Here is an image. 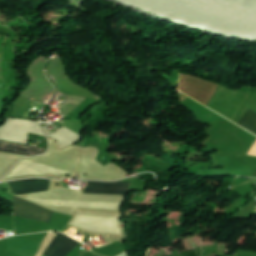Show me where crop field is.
Here are the masks:
<instances>
[{
  "mask_svg": "<svg viewBox=\"0 0 256 256\" xmlns=\"http://www.w3.org/2000/svg\"><path fill=\"white\" fill-rule=\"evenodd\" d=\"M13 210L14 215L16 216L47 223L50 222V218L53 213L50 210L42 208L26 200L18 199L16 197H14L13 201Z\"/></svg>",
  "mask_w": 256,
  "mask_h": 256,
  "instance_id": "obj_1",
  "label": "crop field"
},
{
  "mask_svg": "<svg viewBox=\"0 0 256 256\" xmlns=\"http://www.w3.org/2000/svg\"><path fill=\"white\" fill-rule=\"evenodd\" d=\"M14 195L48 191L49 180L25 179L8 182Z\"/></svg>",
  "mask_w": 256,
  "mask_h": 256,
  "instance_id": "obj_2",
  "label": "crop field"
},
{
  "mask_svg": "<svg viewBox=\"0 0 256 256\" xmlns=\"http://www.w3.org/2000/svg\"><path fill=\"white\" fill-rule=\"evenodd\" d=\"M238 125L256 134V113L248 109Z\"/></svg>",
  "mask_w": 256,
  "mask_h": 256,
  "instance_id": "obj_6",
  "label": "crop field"
},
{
  "mask_svg": "<svg viewBox=\"0 0 256 256\" xmlns=\"http://www.w3.org/2000/svg\"><path fill=\"white\" fill-rule=\"evenodd\" d=\"M129 183H108L89 181L84 192L125 195Z\"/></svg>",
  "mask_w": 256,
  "mask_h": 256,
  "instance_id": "obj_3",
  "label": "crop field"
},
{
  "mask_svg": "<svg viewBox=\"0 0 256 256\" xmlns=\"http://www.w3.org/2000/svg\"><path fill=\"white\" fill-rule=\"evenodd\" d=\"M79 243L69 237L58 233L47 250L44 252L46 256H65Z\"/></svg>",
  "mask_w": 256,
  "mask_h": 256,
  "instance_id": "obj_4",
  "label": "crop field"
},
{
  "mask_svg": "<svg viewBox=\"0 0 256 256\" xmlns=\"http://www.w3.org/2000/svg\"><path fill=\"white\" fill-rule=\"evenodd\" d=\"M46 149L23 146L17 144L1 143L0 142V152L14 153L20 155L34 156L45 152Z\"/></svg>",
  "mask_w": 256,
  "mask_h": 256,
  "instance_id": "obj_5",
  "label": "crop field"
}]
</instances>
